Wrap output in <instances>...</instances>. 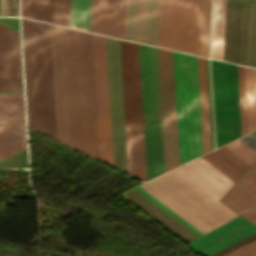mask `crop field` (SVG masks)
I'll return each mask as SVG.
<instances>
[{
	"label": "crop field",
	"instance_id": "crop-field-9",
	"mask_svg": "<svg viewBox=\"0 0 256 256\" xmlns=\"http://www.w3.org/2000/svg\"><path fill=\"white\" fill-rule=\"evenodd\" d=\"M166 171L179 165L172 51L157 49Z\"/></svg>",
	"mask_w": 256,
	"mask_h": 256
},
{
	"label": "crop field",
	"instance_id": "crop-field-3",
	"mask_svg": "<svg viewBox=\"0 0 256 256\" xmlns=\"http://www.w3.org/2000/svg\"><path fill=\"white\" fill-rule=\"evenodd\" d=\"M19 34L0 24V91L20 92ZM26 147L23 94L0 93V160Z\"/></svg>",
	"mask_w": 256,
	"mask_h": 256
},
{
	"label": "crop field",
	"instance_id": "crop-field-18",
	"mask_svg": "<svg viewBox=\"0 0 256 256\" xmlns=\"http://www.w3.org/2000/svg\"><path fill=\"white\" fill-rule=\"evenodd\" d=\"M201 157L234 182L251 166L224 145Z\"/></svg>",
	"mask_w": 256,
	"mask_h": 256
},
{
	"label": "crop field",
	"instance_id": "crop-field-22",
	"mask_svg": "<svg viewBox=\"0 0 256 256\" xmlns=\"http://www.w3.org/2000/svg\"><path fill=\"white\" fill-rule=\"evenodd\" d=\"M91 0H71L70 27L89 31Z\"/></svg>",
	"mask_w": 256,
	"mask_h": 256
},
{
	"label": "crop field",
	"instance_id": "crop-field-13",
	"mask_svg": "<svg viewBox=\"0 0 256 256\" xmlns=\"http://www.w3.org/2000/svg\"><path fill=\"white\" fill-rule=\"evenodd\" d=\"M254 232H256V226L238 216L186 246L202 256H207Z\"/></svg>",
	"mask_w": 256,
	"mask_h": 256
},
{
	"label": "crop field",
	"instance_id": "crop-field-1",
	"mask_svg": "<svg viewBox=\"0 0 256 256\" xmlns=\"http://www.w3.org/2000/svg\"><path fill=\"white\" fill-rule=\"evenodd\" d=\"M64 34L72 147L99 160L91 34Z\"/></svg>",
	"mask_w": 256,
	"mask_h": 256
},
{
	"label": "crop field",
	"instance_id": "crop-field-26",
	"mask_svg": "<svg viewBox=\"0 0 256 256\" xmlns=\"http://www.w3.org/2000/svg\"><path fill=\"white\" fill-rule=\"evenodd\" d=\"M0 15L18 16V0H1Z\"/></svg>",
	"mask_w": 256,
	"mask_h": 256
},
{
	"label": "crop field",
	"instance_id": "crop-field-25",
	"mask_svg": "<svg viewBox=\"0 0 256 256\" xmlns=\"http://www.w3.org/2000/svg\"><path fill=\"white\" fill-rule=\"evenodd\" d=\"M135 188L138 191H140L142 194H144L146 197H148L150 200H152L154 203H156L158 206H160L162 209H164L169 214H171L173 217H175L177 220H179L181 223H183L185 226H187L189 229H191L193 232H195L197 235L199 236L203 235L194 227H192L190 224H188L186 221H184L182 218H180L178 215H176L174 212H172L170 209H168L166 206H164L162 203H160L158 200H156L154 197H152L150 194H148L146 191H144L142 188H140L139 186Z\"/></svg>",
	"mask_w": 256,
	"mask_h": 256
},
{
	"label": "crop field",
	"instance_id": "crop-field-21",
	"mask_svg": "<svg viewBox=\"0 0 256 256\" xmlns=\"http://www.w3.org/2000/svg\"><path fill=\"white\" fill-rule=\"evenodd\" d=\"M248 132L256 128V70L244 68Z\"/></svg>",
	"mask_w": 256,
	"mask_h": 256
},
{
	"label": "crop field",
	"instance_id": "crop-field-27",
	"mask_svg": "<svg viewBox=\"0 0 256 256\" xmlns=\"http://www.w3.org/2000/svg\"><path fill=\"white\" fill-rule=\"evenodd\" d=\"M226 256H256V241L226 255Z\"/></svg>",
	"mask_w": 256,
	"mask_h": 256
},
{
	"label": "crop field",
	"instance_id": "crop-field-23",
	"mask_svg": "<svg viewBox=\"0 0 256 256\" xmlns=\"http://www.w3.org/2000/svg\"><path fill=\"white\" fill-rule=\"evenodd\" d=\"M225 145L251 165L256 161V152H254L240 140L236 139Z\"/></svg>",
	"mask_w": 256,
	"mask_h": 256
},
{
	"label": "crop field",
	"instance_id": "crop-field-8",
	"mask_svg": "<svg viewBox=\"0 0 256 256\" xmlns=\"http://www.w3.org/2000/svg\"><path fill=\"white\" fill-rule=\"evenodd\" d=\"M128 173L146 181L137 44L120 40Z\"/></svg>",
	"mask_w": 256,
	"mask_h": 256
},
{
	"label": "crop field",
	"instance_id": "crop-field-11",
	"mask_svg": "<svg viewBox=\"0 0 256 256\" xmlns=\"http://www.w3.org/2000/svg\"><path fill=\"white\" fill-rule=\"evenodd\" d=\"M57 140L71 147L63 27L50 24Z\"/></svg>",
	"mask_w": 256,
	"mask_h": 256
},
{
	"label": "crop field",
	"instance_id": "crop-field-20",
	"mask_svg": "<svg viewBox=\"0 0 256 256\" xmlns=\"http://www.w3.org/2000/svg\"><path fill=\"white\" fill-rule=\"evenodd\" d=\"M225 0H214L211 58L222 60Z\"/></svg>",
	"mask_w": 256,
	"mask_h": 256
},
{
	"label": "crop field",
	"instance_id": "crop-field-10",
	"mask_svg": "<svg viewBox=\"0 0 256 256\" xmlns=\"http://www.w3.org/2000/svg\"><path fill=\"white\" fill-rule=\"evenodd\" d=\"M92 41L100 160L113 166L104 36Z\"/></svg>",
	"mask_w": 256,
	"mask_h": 256
},
{
	"label": "crop field",
	"instance_id": "crop-field-16",
	"mask_svg": "<svg viewBox=\"0 0 256 256\" xmlns=\"http://www.w3.org/2000/svg\"><path fill=\"white\" fill-rule=\"evenodd\" d=\"M177 169L218 200L234 183L201 157Z\"/></svg>",
	"mask_w": 256,
	"mask_h": 256
},
{
	"label": "crop field",
	"instance_id": "crop-field-4",
	"mask_svg": "<svg viewBox=\"0 0 256 256\" xmlns=\"http://www.w3.org/2000/svg\"><path fill=\"white\" fill-rule=\"evenodd\" d=\"M210 8L211 0H160L158 46L208 57Z\"/></svg>",
	"mask_w": 256,
	"mask_h": 256
},
{
	"label": "crop field",
	"instance_id": "crop-field-15",
	"mask_svg": "<svg viewBox=\"0 0 256 256\" xmlns=\"http://www.w3.org/2000/svg\"><path fill=\"white\" fill-rule=\"evenodd\" d=\"M240 216L256 224V163L221 199Z\"/></svg>",
	"mask_w": 256,
	"mask_h": 256
},
{
	"label": "crop field",
	"instance_id": "crop-field-19",
	"mask_svg": "<svg viewBox=\"0 0 256 256\" xmlns=\"http://www.w3.org/2000/svg\"><path fill=\"white\" fill-rule=\"evenodd\" d=\"M203 153L210 150L204 58L197 56Z\"/></svg>",
	"mask_w": 256,
	"mask_h": 256
},
{
	"label": "crop field",
	"instance_id": "crop-field-12",
	"mask_svg": "<svg viewBox=\"0 0 256 256\" xmlns=\"http://www.w3.org/2000/svg\"><path fill=\"white\" fill-rule=\"evenodd\" d=\"M159 0H126L124 39L157 46Z\"/></svg>",
	"mask_w": 256,
	"mask_h": 256
},
{
	"label": "crop field",
	"instance_id": "crop-field-2",
	"mask_svg": "<svg viewBox=\"0 0 256 256\" xmlns=\"http://www.w3.org/2000/svg\"><path fill=\"white\" fill-rule=\"evenodd\" d=\"M21 24L28 126L56 139L49 24Z\"/></svg>",
	"mask_w": 256,
	"mask_h": 256
},
{
	"label": "crop field",
	"instance_id": "crop-field-29",
	"mask_svg": "<svg viewBox=\"0 0 256 256\" xmlns=\"http://www.w3.org/2000/svg\"><path fill=\"white\" fill-rule=\"evenodd\" d=\"M238 1H256V0H238Z\"/></svg>",
	"mask_w": 256,
	"mask_h": 256
},
{
	"label": "crop field",
	"instance_id": "crop-field-28",
	"mask_svg": "<svg viewBox=\"0 0 256 256\" xmlns=\"http://www.w3.org/2000/svg\"><path fill=\"white\" fill-rule=\"evenodd\" d=\"M239 139L256 151V140L253 139L251 136L247 134Z\"/></svg>",
	"mask_w": 256,
	"mask_h": 256
},
{
	"label": "crop field",
	"instance_id": "crop-field-14",
	"mask_svg": "<svg viewBox=\"0 0 256 256\" xmlns=\"http://www.w3.org/2000/svg\"><path fill=\"white\" fill-rule=\"evenodd\" d=\"M125 0H92L90 31L123 39Z\"/></svg>",
	"mask_w": 256,
	"mask_h": 256
},
{
	"label": "crop field",
	"instance_id": "crop-field-6",
	"mask_svg": "<svg viewBox=\"0 0 256 256\" xmlns=\"http://www.w3.org/2000/svg\"><path fill=\"white\" fill-rule=\"evenodd\" d=\"M173 59L181 165L202 154L197 64L196 56L180 52Z\"/></svg>",
	"mask_w": 256,
	"mask_h": 256
},
{
	"label": "crop field",
	"instance_id": "crop-field-7",
	"mask_svg": "<svg viewBox=\"0 0 256 256\" xmlns=\"http://www.w3.org/2000/svg\"><path fill=\"white\" fill-rule=\"evenodd\" d=\"M147 181L164 173L156 48L138 46Z\"/></svg>",
	"mask_w": 256,
	"mask_h": 256
},
{
	"label": "crop field",
	"instance_id": "crop-field-17",
	"mask_svg": "<svg viewBox=\"0 0 256 256\" xmlns=\"http://www.w3.org/2000/svg\"><path fill=\"white\" fill-rule=\"evenodd\" d=\"M38 0H21V16L37 20ZM54 0H39L38 20L53 23ZM70 0H55L54 23L69 27Z\"/></svg>",
	"mask_w": 256,
	"mask_h": 256
},
{
	"label": "crop field",
	"instance_id": "crop-field-5",
	"mask_svg": "<svg viewBox=\"0 0 256 256\" xmlns=\"http://www.w3.org/2000/svg\"><path fill=\"white\" fill-rule=\"evenodd\" d=\"M140 187L203 234L233 218L171 171Z\"/></svg>",
	"mask_w": 256,
	"mask_h": 256
},
{
	"label": "crop field",
	"instance_id": "crop-field-24",
	"mask_svg": "<svg viewBox=\"0 0 256 256\" xmlns=\"http://www.w3.org/2000/svg\"><path fill=\"white\" fill-rule=\"evenodd\" d=\"M172 171L179 177H181L183 180H185L187 183H189L191 186H193L195 189H197L199 192H201L203 195H205L207 198H209L211 201H213L215 204H217L219 207H221L223 210H225L227 213H229L231 216H237L234 212H232L230 209H228L226 206H224L222 203H220L218 200H216L214 197H212L210 194H208L206 191H204L202 188H200L198 185H196L182 173H180L178 170L174 169Z\"/></svg>",
	"mask_w": 256,
	"mask_h": 256
}]
</instances>
